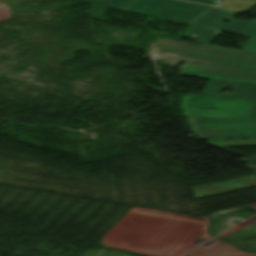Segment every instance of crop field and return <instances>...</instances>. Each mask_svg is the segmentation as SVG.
I'll list each match as a JSON object with an SVG mask.
<instances>
[{
    "label": "crop field",
    "instance_id": "5a996713",
    "mask_svg": "<svg viewBox=\"0 0 256 256\" xmlns=\"http://www.w3.org/2000/svg\"><path fill=\"white\" fill-rule=\"evenodd\" d=\"M256 3L249 2V1H242V0H228L224 3L216 6L219 8H226L234 11H241L244 12L250 7L254 6Z\"/></svg>",
    "mask_w": 256,
    "mask_h": 256
},
{
    "label": "crop field",
    "instance_id": "34b2d1b8",
    "mask_svg": "<svg viewBox=\"0 0 256 256\" xmlns=\"http://www.w3.org/2000/svg\"><path fill=\"white\" fill-rule=\"evenodd\" d=\"M191 131L202 140L256 138V120L187 117Z\"/></svg>",
    "mask_w": 256,
    "mask_h": 256
},
{
    "label": "crop field",
    "instance_id": "3316defc",
    "mask_svg": "<svg viewBox=\"0 0 256 256\" xmlns=\"http://www.w3.org/2000/svg\"><path fill=\"white\" fill-rule=\"evenodd\" d=\"M83 3L103 5L115 9L122 10L132 0H76Z\"/></svg>",
    "mask_w": 256,
    "mask_h": 256
},
{
    "label": "crop field",
    "instance_id": "28ad6ade",
    "mask_svg": "<svg viewBox=\"0 0 256 256\" xmlns=\"http://www.w3.org/2000/svg\"><path fill=\"white\" fill-rule=\"evenodd\" d=\"M242 49L256 52V39L249 38Z\"/></svg>",
    "mask_w": 256,
    "mask_h": 256
},
{
    "label": "crop field",
    "instance_id": "f4fd0767",
    "mask_svg": "<svg viewBox=\"0 0 256 256\" xmlns=\"http://www.w3.org/2000/svg\"><path fill=\"white\" fill-rule=\"evenodd\" d=\"M209 145L218 147H234V146H256V139L250 140H221V141H205ZM248 165L253 169L254 176L240 178L228 182H219L206 186L194 188L197 198L212 194L222 193L235 189L245 188L256 185V155L246 156Z\"/></svg>",
    "mask_w": 256,
    "mask_h": 256
},
{
    "label": "crop field",
    "instance_id": "d1516ede",
    "mask_svg": "<svg viewBox=\"0 0 256 256\" xmlns=\"http://www.w3.org/2000/svg\"><path fill=\"white\" fill-rule=\"evenodd\" d=\"M186 1H192V2H198V3H204V4H210V5H214L216 3H213L212 0H186ZM223 1V0H220Z\"/></svg>",
    "mask_w": 256,
    "mask_h": 256
},
{
    "label": "crop field",
    "instance_id": "dd49c442",
    "mask_svg": "<svg viewBox=\"0 0 256 256\" xmlns=\"http://www.w3.org/2000/svg\"><path fill=\"white\" fill-rule=\"evenodd\" d=\"M218 10L219 8H214L193 25L218 31H228L239 35L256 38V19L237 20L232 18L237 14V12L220 9L222 11L218 13ZM223 17L229 18L231 21L227 24H223L220 22Z\"/></svg>",
    "mask_w": 256,
    "mask_h": 256
},
{
    "label": "crop field",
    "instance_id": "cbeb9de0",
    "mask_svg": "<svg viewBox=\"0 0 256 256\" xmlns=\"http://www.w3.org/2000/svg\"><path fill=\"white\" fill-rule=\"evenodd\" d=\"M254 1H256V0H254Z\"/></svg>",
    "mask_w": 256,
    "mask_h": 256
},
{
    "label": "crop field",
    "instance_id": "d8731c3e",
    "mask_svg": "<svg viewBox=\"0 0 256 256\" xmlns=\"http://www.w3.org/2000/svg\"><path fill=\"white\" fill-rule=\"evenodd\" d=\"M218 31L193 26L183 37H190L196 41L211 43Z\"/></svg>",
    "mask_w": 256,
    "mask_h": 256
},
{
    "label": "crop field",
    "instance_id": "8a807250",
    "mask_svg": "<svg viewBox=\"0 0 256 256\" xmlns=\"http://www.w3.org/2000/svg\"><path fill=\"white\" fill-rule=\"evenodd\" d=\"M153 52L157 60H167L168 63L176 64L180 60H190V65L198 67H184L183 75L214 78L222 80L256 83V53L236 50L213 44H187L167 40L159 41ZM156 50H160L159 52ZM177 54L181 56L168 55ZM166 54L168 56H162ZM208 60H215L214 62ZM251 66H239L227 63ZM208 67V69L203 68ZM186 69H192V73Z\"/></svg>",
    "mask_w": 256,
    "mask_h": 256
},
{
    "label": "crop field",
    "instance_id": "e52e79f7",
    "mask_svg": "<svg viewBox=\"0 0 256 256\" xmlns=\"http://www.w3.org/2000/svg\"><path fill=\"white\" fill-rule=\"evenodd\" d=\"M231 88L232 94L221 93L222 90ZM201 94L223 97H236V98H248L255 99L256 97V85L239 84L231 82H222L209 80Z\"/></svg>",
    "mask_w": 256,
    "mask_h": 256
},
{
    "label": "crop field",
    "instance_id": "22f410ed",
    "mask_svg": "<svg viewBox=\"0 0 256 256\" xmlns=\"http://www.w3.org/2000/svg\"><path fill=\"white\" fill-rule=\"evenodd\" d=\"M253 118H256V109H255V113H254V117Z\"/></svg>",
    "mask_w": 256,
    "mask_h": 256
},
{
    "label": "crop field",
    "instance_id": "ac0d7876",
    "mask_svg": "<svg viewBox=\"0 0 256 256\" xmlns=\"http://www.w3.org/2000/svg\"><path fill=\"white\" fill-rule=\"evenodd\" d=\"M254 100L184 94L186 116L250 118Z\"/></svg>",
    "mask_w": 256,
    "mask_h": 256
},
{
    "label": "crop field",
    "instance_id": "412701ff",
    "mask_svg": "<svg viewBox=\"0 0 256 256\" xmlns=\"http://www.w3.org/2000/svg\"><path fill=\"white\" fill-rule=\"evenodd\" d=\"M210 9V7L174 0H134L124 10L190 24Z\"/></svg>",
    "mask_w": 256,
    "mask_h": 256
}]
</instances>
